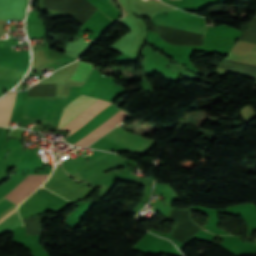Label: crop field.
<instances>
[{"instance_id":"crop-field-1","label":"crop field","mask_w":256,"mask_h":256,"mask_svg":"<svg viewBox=\"0 0 256 256\" xmlns=\"http://www.w3.org/2000/svg\"><path fill=\"white\" fill-rule=\"evenodd\" d=\"M95 100H97V98L81 95L77 99L69 103L67 106H65L57 129H60L61 127H63L66 123H68L76 115L82 112ZM110 104L111 103L101 101L98 99L61 129L71 130L69 133L71 134L74 130H76L81 125L86 123L88 120H90L92 117H94L96 114H98L100 111H102L104 108H106ZM127 116H128L127 113L121 111L113 115L112 117H110L108 120H106L104 123H102L93 131L102 135L107 131H109L110 129L114 128L116 125H118L120 121L127 118ZM93 131L74 145L86 147L101 136Z\"/></svg>"},{"instance_id":"crop-field-2","label":"crop field","mask_w":256,"mask_h":256,"mask_svg":"<svg viewBox=\"0 0 256 256\" xmlns=\"http://www.w3.org/2000/svg\"><path fill=\"white\" fill-rule=\"evenodd\" d=\"M67 98H27L23 119L57 127Z\"/></svg>"},{"instance_id":"crop-field-3","label":"crop field","mask_w":256,"mask_h":256,"mask_svg":"<svg viewBox=\"0 0 256 256\" xmlns=\"http://www.w3.org/2000/svg\"><path fill=\"white\" fill-rule=\"evenodd\" d=\"M104 137L141 154H145L154 144V142L129 134L118 127L111 130Z\"/></svg>"},{"instance_id":"crop-field-4","label":"crop field","mask_w":256,"mask_h":256,"mask_svg":"<svg viewBox=\"0 0 256 256\" xmlns=\"http://www.w3.org/2000/svg\"><path fill=\"white\" fill-rule=\"evenodd\" d=\"M152 22L157 25H163V26L174 27V28L190 30V31H195V32H201V33H203L205 30V27H203V26L182 23V22L165 19V18H160V17H153Z\"/></svg>"},{"instance_id":"crop-field-5","label":"crop field","mask_w":256,"mask_h":256,"mask_svg":"<svg viewBox=\"0 0 256 256\" xmlns=\"http://www.w3.org/2000/svg\"><path fill=\"white\" fill-rule=\"evenodd\" d=\"M15 94H16V92L15 93H11L10 97H9V94H8L7 96H5L2 99H0V125L2 124L4 112H5L7 101H8V97H9L7 109H6L4 120H3V124H2V125H6V126L8 125L10 114H11V110H12V106H13V102H14V98H15Z\"/></svg>"},{"instance_id":"crop-field-6","label":"crop field","mask_w":256,"mask_h":256,"mask_svg":"<svg viewBox=\"0 0 256 256\" xmlns=\"http://www.w3.org/2000/svg\"><path fill=\"white\" fill-rule=\"evenodd\" d=\"M92 67L93 65L80 62L79 66L77 67L76 71L72 75L71 79L84 82V80L90 73Z\"/></svg>"},{"instance_id":"crop-field-7","label":"crop field","mask_w":256,"mask_h":256,"mask_svg":"<svg viewBox=\"0 0 256 256\" xmlns=\"http://www.w3.org/2000/svg\"><path fill=\"white\" fill-rule=\"evenodd\" d=\"M16 211V209H14L13 211H11L10 213H8L5 217H3L1 220H0V222L3 220V219H5L6 217H8L9 215H11L13 212H15Z\"/></svg>"}]
</instances>
